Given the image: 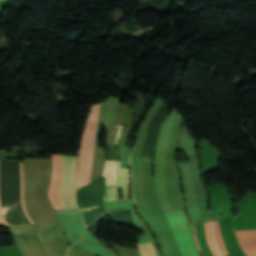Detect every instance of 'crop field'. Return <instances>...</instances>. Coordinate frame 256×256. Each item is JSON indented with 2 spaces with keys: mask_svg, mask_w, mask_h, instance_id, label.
<instances>
[{
  "mask_svg": "<svg viewBox=\"0 0 256 256\" xmlns=\"http://www.w3.org/2000/svg\"><path fill=\"white\" fill-rule=\"evenodd\" d=\"M100 105L101 104L91 107L89 117L84 128L78 161L79 167L77 174V188L91 182L96 141L99 129L97 116Z\"/></svg>",
  "mask_w": 256,
  "mask_h": 256,
  "instance_id": "1",
  "label": "crop field"
},
{
  "mask_svg": "<svg viewBox=\"0 0 256 256\" xmlns=\"http://www.w3.org/2000/svg\"><path fill=\"white\" fill-rule=\"evenodd\" d=\"M139 213L156 234L164 255L182 256L163 212L139 211Z\"/></svg>",
  "mask_w": 256,
  "mask_h": 256,
  "instance_id": "2",
  "label": "crop field"
},
{
  "mask_svg": "<svg viewBox=\"0 0 256 256\" xmlns=\"http://www.w3.org/2000/svg\"><path fill=\"white\" fill-rule=\"evenodd\" d=\"M77 159L61 156V176L58 196L64 209L77 208L75 203V173Z\"/></svg>",
  "mask_w": 256,
  "mask_h": 256,
  "instance_id": "3",
  "label": "crop field"
},
{
  "mask_svg": "<svg viewBox=\"0 0 256 256\" xmlns=\"http://www.w3.org/2000/svg\"><path fill=\"white\" fill-rule=\"evenodd\" d=\"M183 256H199L181 212H164Z\"/></svg>",
  "mask_w": 256,
  "mask_h": 256,
  "instance_id": "4",
  "label": "crop field"
},
{
  "mask_svg": "<svg viewBox=\"0 0 256 256\" xmlns=\"http://www.w3.org/2000/svg\"><path fill=\"white\" fill-rule=\"evenodd\" d=\"M52 177L48 190V195L55 209H63L57 196V187L60 175V156H53L52 158Z\"/></svg>",
  "mask_w": 256,
  "mask_h": 256,
  "instance_id": "5",
  "label": "crop field"
},
{
  "mask_svg": "<svg viewBox=\"0 0 256 256\" xmlns=\"http://www.w3.org/2000/svg\"><path fill=\"white\" fill-rule=\"evenodd\" d=\"M175 127L176 125L164 120L160 128V132L157 140V145H156L157 150H162L167 152L170 151Z\"/></svg>",
  "mask_w": 256,
  "mask_h": 256,
  "instance_id": "6",
  "label": "crop field"
},
{
  "mask_svg": "<svg viewBox=\"0 0 256 256\" xmlns=\"http://www.w3.org/2000/svg\"><path fill=\"white\" fill-rule=\"evenodd\" d=\"M247 256H256V230L234 232Z\"/></svg>",
  "mask_w": 256,
  "mask_h": 256,
  "instance_id": "7",
  "label": "crop field"
},
{
  "mask_svg": "<svg viewBox=\"0 0 256 256\" xmlns=\"http://www.w3.org/2000/svg\"><path fill=\"white\" fill-rule=\"evenodd\" d=\"M195 232H196V236H197V239H198V242H199V245H200V248L201 250L203 251V253L206 255V256H212L208 250V247H207V244L205 242V233H204V229H203V224H200V225H197V226H194L193 227ZM192 228V229H193ZM193 230V232H194ZM194 232V234H195ZM199 248V249H200ZM200 250V251H201ZM202 253V252H201ZM202 253V254H203ZM203 254V256H204Z\"/></svg>",
  "mask_w": 256,
  "mask_h": 256,
  "instance_id": "8",
  "label": "crop field"
},
{
  "mask_svg": "<svg viewBox=\"0 0 256 256\" xmlns=\"http://www.w3.org/2000/svg\"><path fill=\"white\" fill-rule=\"evenodd\" d=\"M20 166V199H21V205H22V209L26 215V217L28 218L29 222L31 223V225L33 224V222L31 221V219L29 218L26 209L24 207V199H23V192H22V187H23V174H22V163H19ZM0 224H5L1 212H0Z\"/></svg>",
  "mask_w": 256,
  "mask_h": 256,
  "instance_id": "9",
  "label": "crop field"
}]
</instances>
